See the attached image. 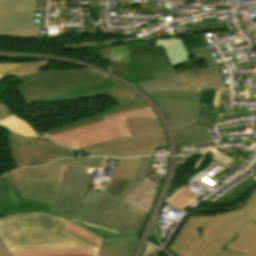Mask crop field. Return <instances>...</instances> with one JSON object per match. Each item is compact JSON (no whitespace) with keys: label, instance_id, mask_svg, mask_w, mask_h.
<instances>
[{"label":"crop field","instance_id":"obj_1","mask_svg":"<svg viewBox=\"0 0 256 256\" xmlns=\"http://www.w3.org/2000/svg\"><path fill=\"white\" fill-rule=\"evenodd\" d=\"M16 87L27 105L73 101L106 94L118 105L80 121L46 132L47 136L104 120L103 117L147 106L134 93L91 70L45 72L19 76Z\"/></svg>","mask_w":256,"mask_h":256},{"label":"crop field","instance_id":"obj_2","mask_svg":"<svg viewBox=\"0 0 256 256\" xmlns=\"http://www.w3.org/2000/svg\"><path fill=\"white\" fill-rule=\"evenodd\" d=\"M103 159H59L47 165L15 170L0 177V217L23 212H48L60 188L63 166L100 168ZM95 255L81 248L10 253L0 239V256Z\"/></svg>","mask_w":256,"mask_h":256},{"label":"crop field","instance_id":"obj_3","mask_svg":"<svg viewBox=\"0 0 256 256\" xmlns=\"http://www.w3.org/2000/svg\"><path fill=\"white\" fill-rule=\"evenodd\" d=\"M168 249L178 256H256V189L244 208L190 217Z\"/></svg>","mask_w":256,"mask_h":256},{"label":"crop field","instance_id":"obj_4","mask_svg":"<svg viewBox=\"0 0 256 256\" xmlns=\"http://www.w3.org/2000/svg\"><path fill=\"white\" fill-rule=\"evenodd\" d=\"M65 218L47 213H24L0 218V237L6 247L68 242L97 251L98 246L62 228Z\"/></svg>","mask_w":256,"mask_h":256},{"label":"crop field","instance_id":"obj_5","mask_svg":"<svg viewBox=\"0 0 256 256\" xmlns=\"http://www.w3.org/2000/svg\"><path fill=\"white\" fill-rule=\"evenodd\" d=\"M152 158L153 156L143 158L136 176L116 197L105 193L107 187L98 185L97 189L100 194L95 191L92 192L90 198L88 197L89 199L84 202L73 219L118 231L126 212L131 207L129 203L122 199L146 178L145 176L152 164Z\"/></svg>","mask_w":256,"mask_h":256},{"label":"crop field","instance_id":"obj_6","mask_svg":"<svg viewBox=\"0 0 256 256\" xmlns=\"http://www.w3.org/2000/svg\"><path fill=\"white\" fill-rule=\"evenodd\" d=\"M127 121L133 137L102 142L78 150L94 155L124 157L155 154V146L168 145L159 120L132 119Z\"/></svg>","mask_w":256,"mask_h":256},{"label":"crop field","instance_id":"obj_7","mask_svg":"<svg viewBox=\"0 0 256 256\" xmlns=\"http://www.w3.org/2000/svg\"><path fill=\"white\" fill-rule=\"evenodd\" d=\"M151 118L157 119L150 107L135 109L105 117L106 120L80 127L74 130L49 136V139L74 149L85 147L102 141L130 137L126 119Z\"/></svg>","mask_w":256,"mask_h":256},{"label":"crop field","instance_id":"obj_8","mask_svg":"<svg viewBox=\"0 0 256 256\" xmlns=\"http://www.w3.org/2000/svg\"><path fill=\"white\" fill-rule=\"evenodd\" d=\"M111 52V71L128 79L171 66L164 48L152 46L151 43L113 49ZM117 58L120 62L115 63Z\"/></svg>","mask_w":256,"mask_h":256},{"label":"crop field","instance_id":"obj_9","mask_svg":"<svg viewBox=\"0 0 256 256\" xmlns=\"http://www.w3.org/2000/svg\"><path fill=\"white\" fill-rule=\"evenodd\" d=\"M35 0L0 1V35L37 37Z\"/></svg>","mask_w":256,"mask_h":256},{"label":"crop field","instance_id":"obj_10","mask_svg":"<svg viewBox=\"0 0 256 256\" xmlns=\"http://www.w3.org/2000/svg\"><path fill=\"white\" fill-rule=\"evenodd\" d=\"M83 169L64 167L61 188L49 213L71 219L78 211L91 176L83 174Z\"/></svg>","mask_w":256,"mask_h":256},{"label":"crop field","instance_id":"obj_11","mask_svg":"<svg viewBox=\"0 0 256 256\" xmlns=\"http://www.w3.org/2000/svg\"><path fill=\"white\" fill-rule=\"evenodd\" d=\"M146 216L144 212L131 207L117 237L103 239L98 256H130Z\"/></svg>","mask_w":256,"mask_h":256},{"label":"crop field","instance_id":"obj_12","mask_svg":"<svg viewBox=\"0 0 256 256\" xmlns=\"http://www.w3.org/2000/svg\"><path fill=\"white\" fill-rule=\"evenodd\" d=\"M167 117L174 136L186 135L205 130L206 127L195 126L198 109L196 103L177 99H153Z\"/></svg>","mask_w":256,"mask_h":256},{"label":"crop field","instance_id":"obj_13","mask_svg":"<svg viewBox=\"0 0 256 256\" xmlns=\"http://www.w3.org/2000/svg\"><path fill=\"white\" fill-rule=\"evenodd\" d=\"M152 75L155 80L137 84L149 94L151 98L169 97L194 102L198 101L199 95L189 93L179 94V82L172 67L155 72Z\"/></svg>","mask_w":256,"mask_h":256},{"label":"crop field","instance_id":"obj_14","mask_svg":"<svg viewBox=\"0 0 256 256\" xmlns=\"http://www.w3.org/2000/svg\"><path fill=\"white\" fill-rule=\"evenodd\" d=\"M34 156L35 165L48 163L62 157L75 156L76 151L56 143L28 138Z\"/></svg>","mask_w":256,"mask_h":256},{"label":"crop field","instance_id":"obj_15","mask_svg":"<svg viewBox=\"0 0 256 256\" xmlns=\"http://www.w3.org/2000/svg\"><path fill=\"white\" fill-rule=\"evenodd\" d=\"M180 93H193L195 88H217L215 75L209 68L177 73Z\"/></svg>","mask_w":256,"mask_h":256},{"label":"crop field","instance_id":"obj_16","mask_svg":"<svg viewBox=\"0 0 256 256\" xmlns=\"http://www.w3.org/2000/svg\"><path fill=\"white\" fill-rule=\"evenodd\" d=\"M143 157L121 159L106 192L116 196L132 180L137 173Z\"/></svg>","mask_w":256,"mask_h":256},{"label":"crop field","instance_id":"obj_17","mask_svg":"<svg viewBox=\"0 0 256 256\" xmlns=\"http://www.w3.org/2000/svg\"><path fill=\"white\" fill-rule=\"evenodd\" d=\"M159 186L160 184L153 183L146 178L124 200L128 201L131 206L139 208L148 214L158 194Z\"/></svg>","mask_w":256,"mask_h":256},{"label":"crop field","instance_id":"obj_18","mask_svg":"<svg viewBox=\"0 0 256 256\" xmlns=\"http://www.w3.org/2000/svg\"><path fill=\"white\" fill-rule=\"evenodd\" d=\"M11 154L16 168L34 165L27 137L9 132Z\"/></svg>","mask_w":256,"mask_h":256},{"label":"crop field","instance_id":"obj_19","mask_svg":"<svg viewBox=\"0 0 256 256\" xmlns=\"http://www.w3.org/2000/svg\"><path fill=\"white\" fill-rule=\"evenodd\" d=\"M215 91H216V89H204L203 90L201 97L196 105V106L200 107L199 113L197 116L196 125L209 126V125L217 124L220 103H219V107H218V112L210 110L212 103H213ZM222 91L223 90H221L220 102H221V98H222Z\"/></svg>","mask_w":256,"mask_h":256},{"label":"crop field","instance_id":"obj_20","mask_svg":"<svg viewBox=\"0 0 256 256\" xmlns=\"http://www.w3.org/2000/svg\"><path fill=\"white\" fill-rule=\"evenodd\" d=\"M156 45L164 46L172 65L191 60L180 38L156 40Z\"/></svg>","mask_w":256,"mask_h":256},{"label":"crop field","instance_id":"obj_21","mask_svg":"<svg viewBox=\"0 0 256 256\" xmlns=\"http://www.w3.org/2000/svg\"><path fill=\"white\" fill-rule=\"evenodd\" d=\"M48 64H50V61L30 63H0V76L2 77L9 73L27 74L36 72Z\"/></svg>","mask_w":256,"mask_h":256},{"label":"crop field","instance_id":"obj_22","mask_svg":"<svg viewBox=\"0 0 256 256\" xmlns=\"http://www.w3.org/2000/svg\"><path fill=\"white\" fill-rule=\"evenodd\" d=\"M198 197L186 187L176 190L170 197L165 199V203L184 211Z\"/></svg>","mask_w":256,"mask_h":256},{"label":"crop field","instance_id":"obj_23","mask_svg":"<svg viewBox=\"0 0 256 256\" xmlns=\"http://www.w3.org/2000/svg\"><path fill=\"white\" fill-rule=\"evenodd\" d=\"M0 124L24 136L44 135L43 133H36L26 121H21L13 116L1 121Z\"/></svg>","mask_w":256,"mask_h":256},{"label":"crop field","instance_id":"obj_24","mask_svg":"<svg viewBox=\"0 0 256 256\" xmlns=\"http://www.w3.org/2000/svg\"><path fill=\"white\" fill-rule=\"evenodd\" d=\"M191 51H192L195 59L202 57L206 66L213 69L214 74L216 75V78H217L218 88H223L222 78H221L218 68L208 50V47L204 46V47L192 49Z\"/></svg>","mask_w":256,"mask_h":256},{"label":"crop field","instance_id":"obj_25","mask_svg":"<svg viewBox=\"0 0 256 256\" xmlns=\"http://www.w3.org/2000/svg\"><path fill=\"white\" fill-rule=\"evenodd\" d=\"M176 145H184L193 143L194 149L196 146L210 144L208 131H202L191 135L175 137Z\"/></svg>","mask_w":256,"mask_h":256},{"label":"crop field","instance_id":"obj_26","mask_svg":"<svg viewBox=\"0 0 256 256\" xmlns=\"http://www.w3.org/2000/svg\"><path fill=\"white\" fill-rule=\"evenodd\" d=\"M63 227L77 233L78 235L86 238L87 240H89L99 246L101 245V242L103 239L102 237H99V236L93 234L92 232L86 230L85 228H83L69 220H66Z\"/></svg>","mask_w":256,"mask_h":256},{"label":"crop field","instance_id":"obj_27","mask_svg":"<svg viewBox=\"0 0 256 256\" xmlns=\"http://www.w3.org/2000/svg\"><path fill=\"white\" fill-rule=\"evenodd\" d=\"M75 223L87 228L88 230L102 236V237H113V236H116L117 235V231H113V230H109V229H106V228H102V227H98V226H95V225H92V224H88V223H84V222H81V221H77V220H73Z\"/></svg>","mask_w":256,"mask_h":256},{"label":"crop field","instance_id":"obj_28","mask_svg":"<svg viewBox=\"0 0 256 256\" xmlns=\"http://www.w3.org/2000/svg\"><path fill=\"white\" fill-rule=\"evenodd\" d=\"M69 247H77V246H75V245H73V244L42 245V246H30V247L10 248V250H11V252H19V251L59 249V248H69Z\"/></svg>","mask_w":256,"mask_h":256},{"label":"crop field","instance_id":"obj_29","mask_svg":"<svg viewBox=\"0 0 256 256\" xmlns=\"http://www.w3.org/2000/svg\"><path fill=\"white\" fill-rule=\"evenodd\" d=\"M213 158L218 160V161H221L225 164H228V165H230L234 161V159H232L230 157H227V156H224V155L220 154L219 152L214 153Z\"/></svg>","mask_w":256,"mask_h":256},{"label":"crop field","instance_id":"obj_30","mask_svg":"<svg viewBox=\"0 0 256 256\" xmlns=\"http://www.w3.org/2000/svg\"><path fill=\"white\" fill-rule=\"evenodd\" d=\"M11 116V114L0 104V121Z\"/></svg>","mask_w":256,"mask_h":256},{"label":"crop field","instance_id":"obj_31","mask_svg":"<svg viewBox=\"0 0 256 256\" xmlns=\"http://www.w3.org/2000/svg\"><path fill=\"white\" fill-rule=\"evenodd\" d=\"M219 95H220V90L217 89L215 99H214V103H213V106L211 108L212 110L217 111V106H218V102H219Z\"/></svg>","mask_w":256,"mask_h":256},{"label":"crop field","instance_id":"obj_32","mask_svg":"<svg viewBox=\"0 0 256 256\" xmlns=\"http://www.w3.org/2000/svg\"><path fill=\"white\" fill-rule=\"evenodd\" d=\"M156 248H154L152 245L148 246V249L144 256H153V254L156 252Z\"/></svg>","mask_w":256,"mask_h":256}]
</instances>
